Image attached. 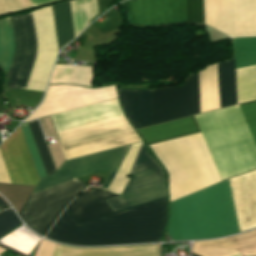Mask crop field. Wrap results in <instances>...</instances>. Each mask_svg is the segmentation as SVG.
<instances>
[{
    "label": "crop field",
    "instance_id": "8a807250",
    "mask_svg": "<svg viewBox=\"0 0 256 256\" xmlns=\"http://www.w3.org/2000/svg\"><path fill=\"white\" fill-rule=\"evenodd\" d=\"M141 143L65 161L56 172L40 180L33 192L74 177L97 171H111L102 185L105 188L124 149L116 171L106 186L109 192L121 194ZM129 175L132 177L121 196L100 189L93 193L84 191L66 209L81 224L167 196L164 171L149 155L144 142ZM86 187L83 182L74 178L38 191L31 194L18 214L32 230L44 236L63 209ZM110 197L114 198L107 199Z\"/></svg>",
    "mask_w": 256,
    "mask_h": 256
},
{
    "label": "crop field",
    "instance_id": "ac0d7876",
    "mask_svg": "<svg viewBox=\"0 0 256 256\" xmlns=\"http://www.w3.org/2000/svg\"><path fill=\"white\" fill-rule=\"evenodd\" d=\"M235 69L256 64V38L233 39ZM221 108L237 104L233 58L218 64ZM217 64L198 72L201 113L219 109ZM238 104L255 99L253 66L235 70ZM197 73L180 86L181 118L199 114ZM135 130L150 125L151 91L117 90ZM179 86L152 91L151 125L180 118ZM193 117L137 130L146 145L197 133Z\"/></svg>",
    "mask_w": 256,
    "mask_h": 256
},
{
    "label": "crop field",
    "instance_id": "34b2d1b8",
    "mask_svg": "<svg viewBox=\"0 0 256 256\" xmlns=\"http://www.w3.org/2000/svg\"><path fill=\"white\" fill-rule=\"evenodd\" d=\"M37 45L32 27V21ZM26 15L0 20V65L8 76L7 89L44 91L55 56L58 52L51 8L45 7Z\"/></svg>",
    "mask_w": 256,
    "mask_h": 256
},
{
    "label": "crop field",
    "instance_id": "412701ff",
    "mask_svg": "<svg viewBox=\"0 0 256 256\" xmlns=\"http://www.w3.org/2000/svg\"><path fill=\"white\" fill-rule=\"evenodd\" d=\"M128 25L201 23L200 0H127ZM202 23L231 37L256 36V0H201Z\"/></svg>",
    "mask_w": 256,
    "mask_h": 256
},
{
    "label": "crop field",
    "instance_id": "f4fd0767",
    "mask_svg": "<svg viewBox=\"0 0 256 256\" xmlns=\"http://www.w3.org/2000/svg\"><path fill=\"white\" fill-rule=\"evenodd\" d=\"M165 219L166 198L81 225L65 209L46 237L84 246L160 241Z\"/></svg>",
    "mask_w": 256,
    "mask_h": 256
},
{
    "label": "crop field",
    "instance_id": "dd49c442",
    "mask_svg": "<svg viewBox=\"0 0 256 256\" xmlns=\"http://www.w3.org/2000/svg\"><path fill=\"white\" fill-rule=\"evenodd\" d=\"M238 106L256 143V101ZM238 106L195 116L222 180L256 168V145Z\"/></svg>",
    "mask_w": 256,
    "mask_h": 256
},
{
    "label": "crop field",
    "instance_id": "e52e79f7",
    "mask_svg": "<svg viewBox=\"0 0 256 256\" xmlns=\"http://www.w3.org/2000/svg\"><path fill=\"white\" fill-rule=\"evenodd\" d=\"M122 115L116 99L52 118L58 132ZM57 136L66 160L141 141L124 116L58 132Z\"/></svg>",
    "mask_w": 256,
    "mask_h": 256
},
{
    "label": "crop field",
    "instance_id": "d8731c3e",
    "mask_svg": "<svg viewBox=\"0 0 256 256\" xmlns=\"http://www.w3.org/2000/svg\"><path fill=\"white\" fill-rule=\"evenodd\" d=\"M167 231L173 241L238 233L227 180L171 202Z\"/></svg>",
    "mask_w": 256,
    "mask_h": 256
},
{
    "label": "crop field",
    "instance_id": "5a996713",
    "mask_svg": "<svg viewBox=\"0 0 256 256\" xmlns=\"http://www.w3.org/2000/svg\"><path fill=\"white\" fill-rule=\"evenodd\" d=\"M150 148L170 173L169 202L221 181L201 133Z\"/></svg>",
    "mask_w": 256,
    "mask_h": 256
},
{
    "label": "crop field",
    "instance_id": "3316defc",
    "mask_svg": "<svg viewBox=\"0 0 256 256\" xmlns=\"http://www.w3.org/2000/svg\"><path fill=\"white\" fill-rule=\"evenodd\" d=\"M24 131L27 135L29 143L32 147L34 155L37 159L39 167L42 171L43 176H46L45 171L43 169L40 157L38 155L35 143L33 141L30 129L27 123L22 124ZM20 125L19 128L23 135L24 141L30 153L31 159L37 171L39 179L43 178L41 171L38 167L36 159L33 155L31 147L28 143L26 135L23 131V128ZM17 128L6 141H4L0 146V152L3 157L8 175L10 177L12 184H20V185H31L36 186L39 181L37 174L35 172L34 166L28 154L27 148L21 136L20 130Z\"/></svg>",
    "mask_w": 256,
    "mask_h": 256
},
{
    "label": "crop field",
    "instance_id": "28ad6ade",
    "mask_svg": "<svg viewBox=\"0 0 256 256\" xmlns=\"http://www.w3.org/2000/svg\"><path fill=\"white\" fill-rule=\"evenodd\" d=\"M117 98L115 86L86 89L71 85L48 87L43 103L25 121Z\"/></svg>",
    "mask_w": 256,
    "mask_h": 256
},
{
    "label": "crop field",
    "instance_id": "d1516ede",
    "mask_svg": "<svg viewBox=\"0 0 256 256\" xmlns=\"http://www.w3.org/2000/svg\"><path fill=\"white\" fill-rule=\"evenodd\" d=\"M229 182L239 232L256 227V171Z\"/></svg>",
    "mask_w": 256,
    "mask_h": 256
},
{
    "label": "crop field",
    "instance_id": "22f410ed",
    "mask_svg": "<svg viewBox=\"0 0 256 256\" xmlns=\"http://www.w3.org/2000/svg\"><path fill=\"white\" fill-rule=\"evenodd\" d=\"M192 253L200 256H256V230L216 241L194 243Z\"/></svg>",
    "mask_w": 256,
    "mask_h": 256
},
{
    "label": "crop field",
    "instance_id": "cbeb9de0",
    "mask_svg": "<svg viewBox=\"0 0 256 256\" xmlns=\"http://www.w3.org/2000/svg\"><path fill=\"white\" fill-rule=\"evenodd\" d=\"M52 256H158V245L82 249L56 246Z\"/></svg>",
    "mask_w": 256,
    "mask_h": 256
},
{
    "label": "crop field",
    "instance_id": "5142ce71",
    "mask_svg": "<svg viewBox=\"0 0 256 256\" xmlns=\"http://www.w3.org/2000/svg\"><path fill=\"white\" fill-rule=\"evenodd\" d=\"M93 67L56 65L49 84L91 87Z\"/></svg>",
    "mask_w": 256,
    "mask_h": 256
},
{
    "label": "crop field",
    "instance_id": "d9b57169",
    "mask_svg": "<svg viewBox=\"0 0 256 256\" xmlns=\"http://www.w3.org/2000/svg\"><path fill=\"white\" fill-rule=\"evenodd\" d=\"M58 48L74 39L68 1L52 5Z\"/></svg>",
    "mask_w": 256,
    "mask_h": 256
},
{
    "label": "crop field",
    "instance_id": "733c2abd",
    "mask_svg": "<svg viewBox=\"0 0 256 256\" xmlns=\"http://www.w3.org/2000/svg\"><path fill=\"white\" fill-rule=\"evenodd\" d=\"M44 163L47 174L55 171L38 120L28 122Z\"/></svg>",
    "mask_w": 256,
    "mask_h": 256
},
{
    "label": "crop field",
    "instance_id": "4a817a6b",
    "mask_svg": "<svg viewBox=\"0 0 256 256\" xmlns=\"http://www.w3.org/2000/svg\"><path fill=\"white\" fill-rule=\"evenodd\" d=\"M31 6L54 0H28ZM27 0H0V15L31 7Z\"/></svg>",
    "mask_w": 256,
    "mask_h": 256
},
{
    "label": "crop field",
    "instance_id": "bc2a9ffb",
    "mask_svg": "<svg viewBox=\"0 0 256 256\" xmlns=\"http://www.w3.org/2000/svg\"><path fill=\"white\" fill-rule=\"evenodd\" d=\"M20 221L15 216L13 211L10 210H4L0 213V237L10 231L11 229L18 226Z\"/></svg>",
    "mask_w": 256,
    "mask_h": 256
},
{
    "label": "crop field",
    "instance_id": "214f88e0",
    "mask_svg": "<svg viewBox=\"0 0 256 256\" xmlns=\"http://www.w3.org/2000/svg\"><path fill=\"white\" fill-rule=\"evenodd\" d=\"M55 246L53 243L42 240L35 256H51Z\"/></svg>",
    "mask_w": 256,
    "mask_h": 256
},
{
    "label": "crop field",
    "instance_id": "92a150f3",
    "mask_svg": "<svg viewBox=\"0 0 256 256\" xmlns=\"http://www.w3.org/2000/svg\"><path fill=\"white\" fill-rule=\"evenodd\" d=\"M7 207V204L0 198V209Z\"/></svg>",
    "mask_w": 256,
    "mask_h": 256
},
{
    "label": "crop field",
    "instance_id": "dafd665d",
    "mask_svg": "<svg viewBox=\"0 0 256 256\" xmlns=\"http://www.w3.org/2000/svg\"><path fill=\"white\" fill-rule=\"evenodd\" d=\"M4 251V249L0 248V253H2Z\"/></svg>",
    "mask_w": 256,
    "mask_h": 256
},
{
    "label": "crop field",
    "instance_id": "00972430",
    "mask_svg": "<svg viewBox=\"0 0 256 256\" xmlns=\"http://www.w3.org/2000/svg\"><path fill=\"white\" fill-rule=\"evenodd\" d=\"M234 256H240V255L238 254V255H234Z\"/></svg>",
    "mask_w": 256,
    "mask_h": 256
}]
</instances>
